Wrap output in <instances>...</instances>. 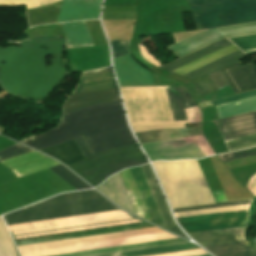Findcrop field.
Returning a JSON list of instances; mask_svg holds the SVG:
<instances>
[{"mask_svg":"<svg viewBox=\"0 0 256 256\" xmlns=\"http://www.w3.org/2000/svg\"><path fill=\"white\" fill-rule=\"evenodd\" d=\"M80 136L92 154L136 143L127 126L120 100L65 114L55 128L20 142L39 150Z\"/></svg>","mask_w":256,"mask_h":256,"instance_id":"obj_1","label":"crop field"},{"mask_svg":"<svg viewBox=\"0 0 256 256\" xmlns=\"http://www.w3.org/2000/svg\"><path fill=\"white\" fill-rule=\"evenodd\" d=\"M172 208L215 203L196 160L155 161Z\"/></svg>","mask_w":256,"mask_h":256,"instance_id":"obj_2","label":"crop field"},{"mask_svg":"<svg viewBox=\"0 0 256 256\" xmlns=\"http://www.w3.org/2000/svg\"><path fill=\"white\" fill-rule=\"evenodd\" d=\"M117 210L94 190L61 194L3 216L7 225Z\"/></svg>","mask_w":256,"mask_h":256,"instance_id":"obj_3","label":"crop field"},{"mask_svg":"<svg viewBox=\"0 0 256 256\" xmlns=\"http://www.w3.org/2000/svg\"><path fill=\"white\" fill-rule=\"evenodd\" d=\"M198 30L256 21V0H187Z\"/></svg>","mask_w":256,"mask_h":256,"instance_id":"obj_4","label":"crop field"},{"mask_svg":"<svg viewBox=\"0 0 256 256\" xmlns=\"http://www.w3.org/2000/svg\"><path fill=\"white\" fill-rule=\"evenodd\" d=\"M148 162L138 144L107 150L71 166L93 186L103 182L109 175L124 168Z\"/></svg>","mask_w":256,"mask_h":256,"instance_id":"obj_5","label":"crop field"},{"mask_svg":"<svg viewBox=\"0 0 256 256\" xmlns=\"http://www.w3.org/2000/svg\"><path fill=\"white\" fill-rule=\"evenodd\" d=\"M112 70L110 67L94 70L90 72L83 73V76L93 75L101 72H106ZM117 87L115 84L113 72L101 73L93 76L84 77L81 79L77 89L73 94L91 92L109 88ZM120 99L118 95L117 88L109 89L104 91L84 93L71 95L69 99L65 102L63 106L64 113L70 112L72 110L85 107L88 105L117 100ZM63 113V114H64Z\"/></svg>","mask_w":256,"mask_h":256,"instance_id":"obj_6","label":"crop field"},{"mask_svg":"<svg viewBox=\"0 0 256 256\" xmlns=\"http://www.w3.org/2000/svg\"><path fill=\"white\" fill-rule=\"evenodd\" d=\"M142 146L151 161L157 159L203 158L207 155L214 154L203 135L144 143Z\"/></svg>","mask_w":256,"mask_h":256,"instance_id":"obj_7","label":"crop field"},{"mask_svg":"<svg viewBox=\"0 0 256 256\" xmlns=\"http://www.w3.org/2000/svg\"><path fill=\"white\" fill-rule=\"evenodd\" d=\"M251 34H256V22L208 29L168 48L178 57H182L225 36L232 38Z\"/></svg>","mask_w":256,"mask_h":256,"instance_id":"obj_8","label":"crop field"},{"mask_svg":"<svg viewBox=\"0 0 256 256\" xmlns=\"http://www.w3.org/2000/svg\"><path fill=\"white\" fill-rule=\"evenodd\" d=\"M187 233L246 226L249 209L176 218Z\"/></svg>","mask_w":256,"mask_h":256,"instance_id":"obj_9","label":"crop field"},{"mask_svg":"<svg viewBox=\"0 0 256 256\" xmlns=\"http://www.w3.org/2000/svg\"><path fill=\"white\" fill-rule=\"evenodd\" d=\"M130 40H110L113 60L129 55ZM121 85L154 84L150 73L129 56L114 61Z\"/></svg>","mask_w":256,"mask_h":256,"instance_id":"obj_10","label":"crop field"},{"mask_svg":"<svg viewBox=\"0 0 256 256\" xmlns=\"http://www.w3.org/2000/svg\"><path fill=\"white\" fill-rule=\"evenodd\" d=\"M223 140L256 132V111L214 120Z\"/></svg>","mask_w":256,"mask_h":256,"instance_id":"obj_11","label":"crop field"},{"mask_svg":"<svg viewBox=\"0 0 256 256\" xmlns=\"http://www.w3.org/2000/svg\"><path fill=\"white\" fill-rule=\"evenodd\" d=\"M234 93L256 88V68L253 63L242 67L236 61L220 69Z\"/></svg>","mask_w":256,"mask_h":256,"instance_id":"obj_12","label":"crop field"},{"mask_svg":"<svg viewBox=\"0 0 256 256\" xmlns=\"http://www.w3.org/2000/svg\"><path fill=\"white\" fill-rule=\"evenodd\" d=\"M100 0H63L57 22L96 18Z\"/></svg>","mask_w":256,"mask_h":256,"instance_id":"obj_13","label":"crop field"},{"mask_svg":"<svg viewBox=\"0 0 256 256\" xmlns=\"http://www.w3.org/2000/svg\"><path fill=\"white\" fill-rule=\"evenodd\" d=\"M97 189L122 208L136 214L118 173L111 176Z\"/></svg>","mask_w":256,"mask_h":256,"instance_id":"obj_14","label":"crop field"},{"mask_svg":"<svg viewBox=\"0 0 256 256\" xmlns=\"http://www.w3.org/2000/svg\"><path fill=\"white\" fill-rule=\"evenodd\" d=\"M180 243H188V241H185L181 238H176V239L147 242V243L126 245V246H119V247H112V248H105V249H97V250H90V251H83V252H76V253H69V254H62V255H55V256H97V255H103V254H109V253L131 251V250L180 244Z\"/></svg>","mask_w":256,"mask_h":256,"instance_id":"obj_15","label":"crop field"},{"mask_svg":"<svg viewBox=\"0 0 256 256\" xmlns=\"http://www.w3.org/2000/svg\"><path fill=\"white\" fill-rule=\"evenodd\" d=\"M245 229H246V227L237 228V229L192 233L189 235L197 243H199L201 245H206V244H215V243H224V242L245 240V238H244Z\"/></svg>","mask_w":256,"mask_h":256,"instance_id":"obj_16","label":"crop field"},{"mask_svg":"<svg viewBox=\"0 0 256 256\" xmlns=\"http://www.w3.org/2000/svg\"><path fill=\"white\" fill-rule=\"evenodd\" d=\"M131 174H132V177L138 187V190L140 192V195L143 199V202L145 204V207L147 209V212L150 216V219L153 223L155 224H158L162 227H165L163 222H162V219L160 217V214L157 210V207L155 205V202L152 198V195L149 191V188L147 186V183L144 179V176L142 174V171L140 169V167H134V168H131L129 169Z\"/></svg>","mask_w":256,"mask_h":256,"instance_id":"obj_17","label":"crop field"},{"mask_svg":"<svg viewBox=\"0 0 256 256\" xmlns=\"http://www.w3.org/2000/svg\"><path fill=\"white\" fill-rule=\"evenodd\" d=\"M140 167L143 171V174H144L145 179L148 183V186H149L150 191L153 195V198L156 202V205L158 207V210L161 214V217L163 219V222H164L165 226L166 227L174 226L175 223L173 222V220L171 218L168 207L166 205V202L164 200V197L162 195V192L160 190V187L158 185V182L155 178V175H154L150 165L145 164V165H141Z\"/></svg>","mask_w":256,"mask_h":256,"instance_id":"obj_18","label":"crop field"},{"mask_svg":"<svg viewBox=\"0 0 256 256\" xmlns=\"http://www.w3.org/2000/svg\"><path fill=\"white\" fill-rule=\"evenodd\" d=\"M67 37V47L76 48L93 45L85 21L62 24Z\"/></svg>","mask_w":256,"mask_h":256,"instance_id":"obj_19","label":"crop field"},{"mask_svg":"<svg viewBox=\"0 0 256 256\" xmlns=\"http://www.w3.org/2000/svg\"><path fill=\"white\" fill-rule=\"evenodd\" d=\"M174 120H187L184 105L195 103L185 86L166 87Z\"/></svg>","mask_w":256,"mask_h":256,"instance_id":"obj_20","label":"crop field"},{"mask_svg":"<svg viewBox=\"0 0 256 256\" xmlns=\"http://www.w3.org/2000/svg\"><path fill=\"white\" fill-rule=\"evenodd\" d=\"M139 142H150L157 140L175 139L191 135H199L201 128H185V129H170V130H158L149 132L135 133Z\"/></svg>","mask_w":256,"mask_h":256,"instance_id":"obj_21","label":"crop field"},{"mask_svg":"<svg viewBox=\"0 0 256 256\" xmlns=\"http://www.w3.org/2000/svg\"><path fill=\"white\" fill-rule=\"evenodd\" d=\"M40 151L56 157L67 166L78 160L84 159V156L82 155L74 140L53 147L41 149Z\"/></svg>","mask_w":256,"mask_h":256,"instance_id":"obj_22","label":"crop field"},{"mask_svg":"<svg viewBox=\"0 0 256 256\" xmlns=\"http://www.w3.org/2000/svg\"><path fill=\"white\" fill-rule=\"evenodd\" d=\"M145 227H152V225H150L148 223H144V224L123 226V227H116V228H109V229H102V230H95V231H88V232H81V233H74V234H67V235H60V236H53V237H46V238H39V239H32V240H25V241H18V242H15V243H16L17 246H20V245H27V244H34V243H41V242H48V241H55V240H62V239H69V238H76V237H83V236H89V235H96V234H103V233H110V232L145 228Z\"/></svg>","mask_w":256,"mask_h":256,"instance_id":"obj_23","label":"crop field"},{"mask_svg":"<svg viewBox=\"0 0 256 256\" xmlns=\"http://www.w3.org/2000/svg\"><path fill=\"white\" fill-rule=\"evenodd\" d=\"M216 256H256V250L248 241L206 246Z\"/></svg>","mask_w":256,"mask_h":256,"instance_id":"obj_24","label":"crop field"},{"mask_svg":"<svg viewBox=\"0 0 256 256\" xmlns=\"http://www.w3.org/2000/svg\"><path fill=\"white\" fill-rule=\"evenodd\" d=\"M229 44H231V42L229 40L223 39V40H221V41H219L217 43H214V44H212V45H210L208 47H205V48H203V49H201L199 51H196V52H194V53H192L190 55H187V56H185V57H183L181 59H178V60H176V61H174V62H172L170 64H167V65H165L163 67H160V68L168 69V70H171V71L175 70V69H177V68H179V67H181L183 65H186V64H188V63H190V62H192L194 60H197V59H199V58H201V57H203V56H205L207 54H210V53H212V52H214V51H216L218 49H221V48H223V47H225V46H227Z\"/></svg>","mask_w":256,"mask_h":256,"instance_id":"obj_25","label":"crop field"},{"mask_svg":"<svg viewBox=\"0 0 256 256\" xmlns=\"http://www.w3.org/2000/svg\"><path fill=\"white\" fill-rule=\"evenodd\" d=\"M119 174L123 180V183L127 189V192L130 196V199L134 205V208L138 216H141L150 221L129 170H123L119 172Z\"/></svg>","mask_w":256,"mask_h":256,"instance_id":"obj_26","label":"crop field"},{"mask_svg":"<svg viewBox=\"0 0 256 256\" xmlns=\"http://www.w3.org/2000/svg\"><path fill=\"white\" fill-rule=\"evenodd\" d=\"M236 50H238V48L235 47L233 44H231V45H229L221 50H218L210 55H207L197 61H194V62H192L186 66H183L175 71H173V70L172 71L176 72L178 74L184 75L192 70H195L203 65H206V64H208L216 59H219L227 54H230Z\"/></svg>","mask_w":256,"mask_h":256,"instance_id":"obj_27","label":"crop field"},{"mask_svg":"<svg viewBox=\"0 0 256 256\" xmlns=\"http://www.w3.org/2000/svg\"><path fill=\"white\" fill-rule=\"evenodd\" d=\"M246 54H244L242 51L238 50L230 55H227L219 60H216L206 66H203L195 71H192L184 76H187L189 78L195 79L203 74H206L212 70H215L223 65H226L232 61H235L243 56H245ZM244 58V57H243Z\"/></svg>","mask_w":256,"mask_h":256,"instance_id":"obj_28","label":"crop field"},{"mask_svg":"<svg viewBox=\"0 0 256 256\" xmlns=\"http://www.w3.org/2000/svg\"><path fill=\"white\" fill-rule=\"evenodd\" d=\"M187 86L191 90L195 100L217 91V88L208 75L187 84Z\"/></svg>","mask_w":256,"mask_h":256,"instance_id":"obj_29","label":"crop field"},{"mask_svg":"<svg viewBox=\"0 0 256 256\" xmlns=\"http://www.w3.org/2000/svg\"><path fill=\"white\" fill-rule=\"evenodd\" d=\"M59 165V163H57L56 161L46 157L43 159H40L38 161L20 166L18 168L12 169V171L14 172V174L19 177V176H23L26 174H30L36 171H40L52 166H56Z\"/></svg>","mask_w":256,"mask_h":256,"instance_id":"obj_30","label":"crop field"},{"mask_svg":"<svg viewBox=\"0 0 256 256\" xmlns=\"http://www.w3.org/2000/svg\"><path fill=\"white\" fill-rule=\"evenodd\" d=\"M191 248H197V246L192 243H188V244L125 252V253H118V254H111V255H105V256H140V255L171 252V251H178V250L191 249Z\"/></svg>","mask_w":256,"mask_h":256,"instance_id":"obj_31","label":"crop field"},{"mask_svg":"<svg viewBox=\"0 0 256 256\" xmlns=\"http://www.w3.org/2000/svg\"><path fill=\"white\" fill-rule=\"evenodd\" d=\"M0 256H17L10 234L0 217Z\"/></svg>","mask_w":256,"mask_h":256,"instance_id":"obj_32","label":"crop field"},{"mask_svg":"<svg viewBox=\"0 0 256 256\" xmlns=\"http://www.w3.org/2000/svg\"><path fill=\"white\" fill-rule=\"evenodd\" d=\"M50 170H52L54 173H56L58 176H60L62 179H64L77 190L91 188L82 180H80L77 176H75L73 173H71L69 170H67L65 167L61 165L50 168Z\"/></svg>","mask_w":256,"mask_h":256,"instance_id":"obj_33","label":"crop field"},{"mask_svg":"<svg viewBox=\"0 0 256 256\" xmlns=\"http://www.w3.org/2000/svg\"><path fill=\"white\" fill-rule=\"evenodd\" d=\"M43 157H46V156L39 154L35 151H32V152H29V153H26V154H23V155H20L17 157H13V158L1 161V163L6 165L7 167L11 168V167L18 166V165H21L24 163H28V162H31V161H34V160H37V159H40Z\"/></svg>","mask_w":256,"mask_h":256,"instance_id":"obj_34","label":"crop field"},{"mask_svg":"<svg viewBox=\"0 0 256 256\" xmlns=\"http://www.w3.org/2000/svg\"><path fill=\"white\" fill-rule=\"evenodd\" d=\"M250 204L174 213L176 217L249 208Z\"/></svg>","mask_w":256,"mask_h":256,"instance_id":"obj_35","label":"crop field"},{"mask_svg":"<svg viewBox=\"0 0 256 256\" xmlns=\"http://www.w3.org/2000/svg\"><path fill=\"white\" fill-rule=\"evenodd\" d=\"M228 150L256 143V133L224 141Z\"/></svg>","mask_w":256,"mask_h":256,"instance_id":"obj_36","label":"crop field"},{"mask_svg":"<svg viewBox=\"0 0 256 256\" xmlns=\"http://www.w3.org/2000/svg\"><path fill=\"white\" fill-rule=\"evenodd\" d=\"M253 155H256V147L241 150V151H236L228 154H221L218 156L223 162H226V161L235 160V159L244 158V157L253 156Z\"/></svg>","mask_w":256,"mask_h":256,"instance_id":"obj_37","label":"crop field"},{"mask_svg":"<svg viewBox=\"0 0 256 256\" xmlns=\"http://www.w3.org/2000/svg\"><path fill=\"white\" fill-rule=\"evenodd\" d=\"M32 151L18 143L0 151V160L6 159V158H10L22 153H26Z\"/></svg>","mask_w":256,"mask_h":256,"instance_id":"obj_38","label":"crop field"},{"mask_svg":"<svg viewBox=\"0 0 256 256\" xmlns=\"http://www.w3.org/2000/svg\"><path fill=\"white\" fill-rule=\"evenodd\" d=\"M134 132L165 129V128H184V124H155V125H131Z\"/></svg>","mask_w":256,"mask_h":256,"instance_id":"obj_39","label":"crop field"},{"mask_svg":"<svg viewBox=\"0 0 256 256\" xmlns=\"http://www.w3.org/2000/svg\"><path fill=\"white\" fill-rule=\"evenodd\" d=\"M241 49L256 47V35L230 39Z\"/></svg>","mask_w":256,"mask_h":256,"instance_id":"obj_40","label":"crop field"},{"mask_svg":"<svg viewBox=\"0 0 256 256\" xmlns=\"http://www.w3.org/2000/svg\"><path fill=\"white\" fill-rule=\"evenodd\" d=\"M252 96H256V90L238 94V95L225 97V98H221V99H217V100H213L210 102H211L212 106H215V105H219V104H223V103H227V102H231V101H235V100H240V99H244V98H248V97H252Z\"/></svg>","mask_w":256,"mask_h":256,"instance_id":"obj_41","label":"crop field"},{"mask_svg":"<svg viewBox=\"0 0 256 256\" xmlns=\"http://www.w3.org/2000/svg\"><path fill=\"white\" fill-rule=\"evenodd\" d=\"M253 200L249 201H241V202H233V203H225V204H217V205H209V206H201V207H193V208H185V209H177L173 210L174 212L178 211H186V210H195V209H204V208H212V207H221V206H230V205H238V204H247L252 203Z\"/></svg>","mask_w":256,"mask_h":256,"instance_id":"obj_42","label":"crop field"},{"mask_svg":"<svg viewBox=\"0 0 256 256\" xmlns=\"http://www.w3.org/2000/svg\"><path fill=\"white\" fill-rule=\"evenodd\" d=\"M75 142L77 143L78 147L82 151L83 155L86 157L92 155L88 147L86 146L85 142L83 141L82 137L74 139Z\"/></svg>","mask_w":256,"mask_h":256,"instance_id":"obj_43","label":"crop field"},{"mask_svg":"<svg viewBox=\"0 0 256 256\" xmlns=\"http://www.w3.org/2000/svg\"><path fill=\"white\" fill-rule=\"evenodd\" d=\"M166 229H168V230H170V231H172V232H174V233H176V234H178V235H181V236H184L181 232H180V230L177 228V227H172V228H166ZM185 237V236H184ZM187 238V237H186Z\"/></svg>","mask_w":256,"mask_h":256,"instance_id":"obj_44","label":"crop field"},{"mask_svg":"<svg viewBox=\"0 0 256 256\" xmlns=\"http://www.w3.org/2000/svg\"><path fill=\"white\" fill-rule=\"evenodd\" d=\"M130 216H132V215H130ZM132 217H134V216H132ZM134 218H136V217H134ZM136 219H138V218H136ZM133 220V219H132ZM138 220H140V219H138ZM126 221V220H125ZM140 221H142V220H140ZM142 222H144V221H142ZM111 223V222H110ZM104 224V223H103ZM97 225V224H96ZM75 228V227H74ZM68 229V228H67ZM61 230V229H60ZM11 233V235H12V237H13V234H12V232H10ZM32 234V233H31ZM13 239H14V237H13ZM15 240V239H14Z\"/></svg>","mask_w":256,"mask_h":256,"instance_id":"obj_45","label":"crop field"},{"mask_svg":"<svg viewBox=\"0 0 256 256\" xmlns=\"http://www.w3.org/2000/svg\"><path fill=\"white\" fill-rule=\"evenodd\" d=\"M251 241H252V242L254 243V245L256 246V238L252 239Z\"/></svg>","mask_w":256,"mask_h":256,"instance_id":"obj_46","label":"crop field"},{"mask_svg":"<svg viewBox=\"0 0 256 256\" xmlns=\"http://www.w3.org/2000/svg\"><path fill=\"white\" fill-rule=\"evenodd\" d=\"M198 256H210L209 254H205V255H198Z\"/></svg>","mask_w":256,"mask_h":256,"instance_id":"obj_47","label":"crop field"}]
</instances>
